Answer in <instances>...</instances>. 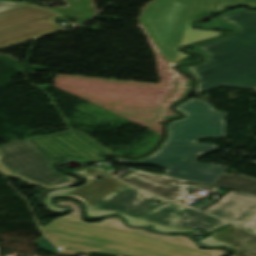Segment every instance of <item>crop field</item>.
Instances as JSON below:
<instances>
[{
  "instance_id": "1",
  "label": "crop field",
  "mask_w": 256,
  "mask_h": 256,
  "mask_svg": "<svg viewBox=\"0 0 256 256\" xmlns=\"http://www.w3.org/2000/svg\"><path fill=\"white\" fill-rule=\"evenodd\" d=\"M75 173L88 182L63 197L76 198L88 209H108L135 216L160 225L178 228H199L211 233L228 222L135 189L99 168H78ZM101 176L102 181L95 180ZM162 201L156 204V201Z\"/></svg>"
},
{
  "instance_id": "2",
  "label": "crop field",
  "mask_w": 256,
  "mask_h": 256,
  "mask_svg": "<svg viewBox=\"0 0 256 256\" xmlns=\"http://www.w3.org/2000/svg\"><path fill=\"white\" fill-rule=\"evenodd\" d=\"M43 229L64 253L101 252L124 256H212L190 247L64 217Z\"/></svg>"
},
{
  "instance_id": "3",
  "label": "crop field",
  "mask_w": 256,
  "mask_h": 256,
  "mask_svg": "<svg viewBox=\"0 0 256 256\" xmlns=\"http://www.w3.org/2000/svg\"><path fill=\"white\" fill-rule=\"evenodd\" d=\"M234 24L239 33L200 47L209 55L207 62L190 67L197 79L195 93L231 86L256 87V13L243 10L221 17Z\"/></svg>"
},
{
  "instance_id": "4",
  "label": "crop field",
  "mask_w": 256,
  "mask_h": 256,
  "mask_svg": "<svg viewBox=\"0 0 256 256\" xmlns=\"http://www.w3.org/2000/svg\"><path fill=\"white\" fill-rule=\"evenodd\" d=\"M232 2L256 7V0H155L146 6L140 21L172 63L189 57L179 52L178 46L223 33L194 30L187 24L201 13L219 11L222 5Z\"/></svg>"
},
{
  "instance_id": "5",
  "label": "crop field",
  "mask_w": 256,
  "mask_h": 256,
  "mask_svg": "<svg viewBox=\"0 0 256 256\" xmlns=\"http://www.w3.org/2000/svg\"><path fill=\"white\" fill-rule=\"evenodd\" d=\"M176 110L185 114L184 119L166 125L168 137L161 146H216L199 144L200 138L226 137V121L228 115L216 111L206 101L189 99L178 105Z\"/></svg>"
},
{
  "instance_id": "6",
  "label": "crop field",
  "mask_w": 256,
  "mask_h": 256,
  "mask_svg": "<svg viewBox=\"0 0 256 256\" xmlns=\"http://www.w3.org/2000/svg\"><path fill=\"white\" fill-rule=\"evenodd\" d=\"M218 147H161L152 156L138 161L116 158L119 163L153 164L166 170L165 175L211 185L226 170L215 164H201L195 159ZM187 158V160H182ZM215 165L216 167H212ZM184 171V173H181Z\"/></svg>"
},
{
  "instance_id": "7",
  "label": "crop field",
  "mask_w": 256,
  "mask_h": 256,
  "mask_svg": "<svg viewBox=\"0 0 256 256\" xmlns=\"http://www.w3.org/2000/svg\"><path fill=\"white\" fill-rule=\"evenodd\" d=\"M57 17V12L31 3L0 12V47L64 29L53 22Z\"/></svg>"
},
{
  "instance_id": "8",
  "label": "crop field",
  "mask_w": 256,
  "mask_h": 256,
  "mask_svg": "<svg viewBox=\"0 0 256 256\" xmlns=\"http://www.w3.org/2000/svg\"><path fill=\"white\" fill-rule=\"evenodd\" d=\"M0 161L20 176L50 186L70 181L57 174L51 164L25 140H17L0 146Z\"/></svg>"
},
{
  "instance_id": "9",
  "label": "crop field",
  "mask_w": 256,
  "mask_h": 256,
  "mask_svg": "<svg viewBox=\"0 0 256 256\" xmlns=\"http://www.w3.org/2000/svg\"><path fill=\"white\" fill-rule=\"evenodd\" d=\"M27 141L52 163L68 157L101 160L102 154L111 152L79 130Z\"/></svg>"
},
{
  "instance_id": "10",
  "label": "crop field",
  "mask_w": 256,
  "mask_h": 256,
  "mask_svg": "<svg viewBox=\"0 0 256 256\" xmlns=\"http://www.w3.org/2000/svg\"><path fill=\"white\" fill-rule=\"evenodd\" d=\"M120 180L175 202L186 197L188 193V191H186L187 186L193 188L206 187L215 191L220 190L219 187L208 186L192 181L139 170L120 178Z\"/></svg>"
},
{
  "instance_id": "11",
  "label": "crop field",
  "mask_w": 256,
  "mask_h": 256,
  "mask_svg": "<svg viewBox=\"0 0 256 256\" xmlns=\"http://www.w3.org/2000/svg\"><path fill=\"white\" fill-rule=\"evenodd\" d=\"M203 212L236 223L256 233V196L230 191Z\"/></svg>"
},
{
  "instance_id": "12",
  "label": "crop field",
  "mask_w": 256,
  "mask_h": 256,
  "mask_svg": "<svg viewBox=\"0 0 256 256\" xmlns=\"http://www.w3.org/2000/svg\"><path fill=\"white\" fill-rule=\"evenodd\" d=\"M57 204L67 205V206L73 208V211L69 215H66L64 217L82 221L81 217H80V210L76 203H73L70 201H64V202H58ZM82 222H84V221H82ZM85 223H88V222H85ZM89 224L105 225V226L129 231V232H134V233H138V234H142V235H146V236H150V237H154V238H159V239H163V240H167V241H171V242H175V243L188 245L195 249L201 250L198 248V246L195 244V242L187 236H170V235H163V234H155V233L147 232L143 229L128 228L122 223L121 219H119L117 217L104 219L98 223H89ZM201 251L212 252L213 256H220L226 252V250H201Z\"/></svg>"
},
{
  "instance_id": "13",
  "label": "crop field",
  "mask_w": 256,
  "mask_h": 256,
  "mask_svg": "<svg viewBox=\"0 0 256 256\" xmlns=\"http://www.w3.org/2000/svg\"><path fill=\"white\" fill-rule=\"evenodd\" d=\"M235 247L233 256H256V236L234 225L213 236Z\"/></svg>"
},
{
  "instance_id": "14",
  "label": "crop field",
  "mask_w": 256,
  "mask_h": 256,
  "mask_svg": "<svg viewBox=\"0 0 256 256\" xmlns=\"http://www.w3.org/2000/svg\"><path fill=\"white\" fill-rule=\"evenodd\" d=\"M212 185L256 195V180L234 173L223 174Z\"/></svg>"
},
{
  "instance_id": "15",
  "label": "crop field",
  "mask_w": 256,
  "mask_h": 256,
  "mask_svg": "<svg viewBox=\"0 0 256 256\" xmlns=\"http://www.w3.org/2000/svg\"><path fill=\"white\" fill-rule=\"evenodd\" d=\"M65 2L68 5V7L55 8V9L58 10L60 13H62L64 16H77V18H80L79 24L83 23L88 18H90L93 14H95L90 0H80V1L65 0ZM87 5H90V6H87ZM88 7H91V9H88ZM88 13H93V14H88Z\"/></svg>"
},
{
  "instance_id": "16",
  "label": "crop field",
  "mask_w": 256,
  "mask_h": 256,
  "mask_svg": "<svg viewBox=\"0 0 256 256\" xmlns=\"http://www.w3.org/2000/svg\"><path fill=\"white\" fill-rule=\"evenodd\" d=\"M240 10H243V9H240ZM240 10L230 11V12H227V13H225V14H223V15L230 14V13H233V12H236V11H240ZM223 15H222V16H223ZM220 17H221V16H220ZM220 17L211 20V21L208 22L207 24H197V25H198V26H204V27H221V28H228V27H230V28H233V29H234V33H237V32H238L235 26H233L232 24H230V23H228V22H226V21H224V20H221ZM234 33H233V34H234ZM222 38H224V37H222ZM218 39H221V38H217V39H213V40H210V41H206V42H203V43H200V44L193 45V47H194L197 51H199V52H201V53L203 54V56H204V61H203V62H205V61L207 60L208 55L205 54V53H204L202 50H200L198 47H200V46H202V45H205V44H208V43H210V42L216 41V40H218ZM195 65H196V64H195ZM192 66H193V65H192ZM188 67H190V66L182 67V69L185 70L186 72L192 74V73L188 70ZM192 75H193V74H192ZM193 76H194V75H193ZM194 77H195V76H194ZM195 78H196V77H195Z\"/></svg>"
},
{
  "instance_id": "17",
  "label": "crop field",
  "mask_w": 256,
  "mask_h": 256,
  "mask_svg": "<svg viewBox=\"0 0 256 256\" xmlns=\"http://www.w3.org/2000/svg\"><path fill=\"white\" fill-rule=\"evenodd\" d=\"M119 215H121L124 219H126L127 225H129V226H143V227L147 228L148 225H153L154 227L151 228V229L158 230V231H161V232H171V231L191 232L192 230H194V229L169 228V227L160 226V225H157V224H154V223H150V222L138 219V218L126 216V215H123V214H120V213H119Z\"/></svg>"
},
{
  "instance_id": "18",
  "label": "crop field",
  "mask_w": 256,
  "mask_h": 256,
  "mask_svg": "<svg viewBox=\"0 0 256 256\" xmlns=\"http://www.w3.org/2000/svg\"><path fill=\"white\" fill-rule=\"evenodd\" d=\"M77 187L74 188H67V189H62V190H57V191H51L47 193L46 199H45V203L47 204V206L50 208V210L53 211H58V212H65L68 209L67 208H60L54 205H51L50 202L53 198L55 197H61L63 196L65 193L70 192L74 189H76Z\"/></svg>"
},
{
  "instance_id": "19",
  "label": "crop field",
  "mask_w": 256,
  "mask_h": 256,
  "mask_svg": "<svg viewBox=\"0 0 256 256\" xmlns=\"http://www.w3.org/2000/svg\"><path fill=\"white\" fill-rule=\"evenodd\" d=\"M58 173H59V172H58ZM60 174H62V173H60ZM62 175L66 176L67 178L71 179L72 181H70V182H68V183H65V184H61V185H56V186L47 187V186H44V185H42V184H39V183H37V182H34V181H32V180H29V179H26V178H23V177H20V176H17V175H14V176H12V177H19V178H20L23 182H25V183L40 185V186H42V187H44V188H46V189H48V188H56V187H63V186H67V185H70V184H72V183L77 182L76 178H74V177H70V176H67V175H65V174H62Z\"/></svg>"
},
{
  "instance_id": "20",
  "label": "crop field",
  "mask_w": 256,
  "mask_h": 256,
  "mask_svg": "<svg viewBox=\"0 0 256 256\" xmlns=\"http://www.w3.org/2000/svg\"><path fill=\"white\" fill-rule=\"evenodd\" d=\"M201 243L205 244V245H208V246H226V247H231V248L234 249L233 246H231L227 243L221 242L219 240L213 239L211 237H208L206 239L201 240Z\"/></svg>"
},
{
  "instance_id": "21",
  "label": "crop field",
  "mask_w": 256,
  "mask_h": 256,
  "mask_svg": "<svg viewBox=\"0 0 256 256\" xmlns=\"http://www.w3.org/2000/svg\"><path fill=\"white\" fill-rule=\"evenodd\" d=\"M113 213H117V212H112L108 210H87V209L85 210L86 216H90V217H101V216H106Z\"/></svg>"
},
{
  "instance_id": "22",
  "label": "crop field",
  "mask_w": 256,
  "mask_h": 256,
  "mask_svg": "<svg viewBox=\"0 0 256 256\" xmlns=\"http://www.w3.org/2000/svg\"><path fill=\"white\" fill-rule=\"evenodd\" d=\"M37 241H38V243H39V245H40V247H41L42 249L51 250V251H55V252L61 253L58 249H56V248L51 244V242H50L46 237L40 238V239H38Z\"/></svg>"
},
{
  "instance_id": "23",
  "label": "crop field",
  "mask_w": 256,
  "mask_h": 256,
  "mask_svg": "<svg viewBox=\"0 0 256 256\" xmlns=\"http://www.w3.org/2000/svg\"><path fill=\"white\" fill-rule=\"evenodd\" d=\"M26 3H9V2H2L0 1V11L11 9Z\"/></svg>"
},
{
  "instance_id": "24",
  "label": "crop field",
  "mask_w": 256,
  "mask_h": 256,
  "mask_svg": "<svg viewBox=\"0 0 256 256\" xmlns=\"http://www.w3.org/2000/svg\"><path fill=\"white\" fill-rule=\"evenodd\" d=\"M211 203H213V202L212 201H208V200H203L199 204L194 206L193 208L201 210V209L205 208L206 206H208Z\"/></svg>"
},
{
  "instance_id": "25",
  "label": "crop field",
  "mask_w": 256,
  "mask_h": 256,
  "mask_svg": "<svg viewBox=\"0 0 256 256\" xmlns=\"http://www.w3.org/2000/svg\"><path fill=\"white\" fill-rule=\"evenodd\" d=\"M1 156V155H0ZM0 171L2 172V173H4L6 176H8V175H10V174H13V173H11V172H9L5 167H4V165L0 162Z\"/></svg>"
},
{
  "instance_id": "26",
  "label": "crop field",
  "mask_w": 256,
  "mask_h": 256,
  "mask_svg": "<svg viewBox=\"0 0 256 256\" xmlns=\"http://www.w3.org/2000/svg\"><path fill=\"white\" fill-rule=\"evenodd\" d=\"M100 167H102L103 169L107 170L106 168H104L102 165H100ZM108 171V170H107Z\"/></svg>"
},
{
  "instance_id": "27",
  "label": "crop field",
  "mask_w": 256,
  "mask_h": 256,
  "mask_svg": "<svg viewBox=\"0 0 256 256\" xmlns=\"http://www.w3.org/2000/svg\"><path fill=\"white\" fill-rule=\"evenodd\" d=\"M252 163H255V164H256V161H252Z\"/></svg>"
},
{
  "instance_id": "28",
  "label": "crop field",
  "mask_w": 256,
  "mask_h": 256,
  "mask_svg": "<svg viewBox=\"0 0 256 256\" xmlns=\"http://www.w3.org/2000/svg\"><path fill=\"white\" fill-rule=\"evenodd\" d=\"M1 176V175H0Z\"/></svg>"
}]
</instances>
